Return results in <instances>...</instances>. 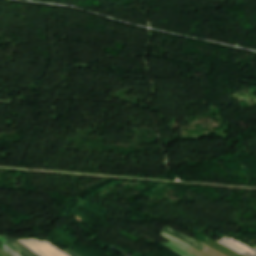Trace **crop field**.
Here are the masks:
<instances>
[{
  "mask_svg": "<svg viewBox=\"0 0 256 256\" xmlns=\"http://www.w3.org/2000/svg\"><path fill=\"white\" fill-rule=\"evenodd\" d=\"M24 245L30 247L39 256H67L57 247L53 246L49 242L38 240H19Z\"/></svg>",
  "mask_w": 256,
  "mask_h": 256,
  "instance_id": "crop-field-1",
  "label": "crop field"
},
{
  "mask_svg": "<svg viewBox=\"0 0 256 256\" xmlns=\"http://www.w3.org/2000/svg\"><path fill=\"white\" fill-rule=\"evenodd\" d=\"M164 232L173 235L174 237L184 241L185 243H187V244H189V245H191V246H193V247H195V248H197L201 251L205 249L202 244H200V243H198V242H196V241H194V240H192V239H190V238H188V237H186V236H184V235H182V234H180V233H178V232H176V231H174L170 228H166L164 230Z\"/></svg>",
  "mask_w": 256,
  "mask_h": 256,
  "instance_id": "crop-field-2",
  "label": "crop field"
},
{
  "mask_svg": "<svg viewBox=\"0 0 256 256\" xmlns=\"http://www.w3.org/2000/svg\"><path fill=\"white\" fill-rule=\"evenodd\" d=\"M4 238H6L7 240L11 241L12 243H14L15 245H17L18 247H20L23 251H25L28 255L30 256H38L37 254H35L33 251H31L28 247L22 245L20 242H18L17 240H15L14 238H12L11 236H4Z\"/></svg>",
  "mask_w": 256,
  "mask_h": 256,
  "instance_id": "crop-field-3",
  "label": "crop field"
},
{
  "mask_svg": "<svg viewBox=\"0 0 256 256\" xmlns=\"http://www.w3.org/2000/svg\"><path fill=\"white\" fill-rule=\"evenodd\" d=\"M0 241H2L3 243H5L6 245H8L9 247H11L13 250H15L17 253H21V249L20 248H18V247H16V246H14V245H12V244H10L8 241H6L4 238H2V237H0Z\"/></svg>",
  "mask_w": 256,
  "mask_h": 256,
  "instance_id": "crop-field-4",
  "label": "crop field"
},
{
  "mask_svg": "<svg viewBox=\"0 0 256 256\" xmlns=\"http://www.w3.org/2000/svg\"><path fill=\"white\" fill-rule=\"evenodd\" d=\"M5 251L8 252L11 256H20L17 253H15L14 251H12L9 247H7L5 245Z\"/></svg>",
  "mask_w": 256,
  "mask_h": 256,
  "instance_id": "crop-field-5",
  "label": "crop field"
},
{
  "mask_svg": "<svg viewBox=\"0 0 256 256\" xmlns=\"http://www.w3.org/2000/svg\"><path fill=\"white\" fill-rule=\"evenodd\" d=\"M69 256H77L76 254H74L73 252L69 251L67 252Z\"/></svg>",
  "mask_w": 256,
  "mask_h": 256,
  "instance_id": "crop-field-6",
  "label": "crop field"
},
{
  "mask_svg": "<svg viewBox=\"0 0 256 256\" xmlns=\"http://www.w3.org/2000/svg\"><path fill=\"white\" fill-rule=\"evenodd\" d=\"M22 256H28L25 252H23L22 254H20Z\"/></svg>",
  "mask_w": 256,
  "mask_h": 256,
  "instance_id": "crop-field-7",
  "label": "crop field"
},
{
  "mask_svg": "<svg viewBox=\"0 0 256 256\" xmlns=\"http://www.w3.org/2000/svg\"><path fill=\"white\" fill-rule=\"evenodd\" d=\"M9 255V254H8ZM10 256V255H9Z\"/></svg>",
  "mask_w": 256,
  "mask_h": 256,
  "instance_id": "crop-field-8",
  "label": "crop field"
}]
</instances>
